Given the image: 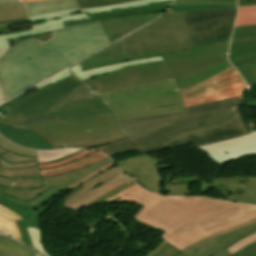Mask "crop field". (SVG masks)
<instances>
[{"instance_id":"37","label":"crop field","mask_w":256,"mask_h":256,"mask_svg":"<svg viewBox=\"0 0 256 256\" xmlns=\"http://www.w3.org/2000/svg\"><path fill=\"white\" fill-rule=\"evenodd\" d=\"M0 147L11 151L15 154L29 156V157H37L35 150L25 149L23 147L14 145L10 142H8L4 137L0 135Z\"/></svg>"},{"instance_id":"31","label":"crop field","mask_w":256,"mask_h":256,"mask_svg":"<svg viewBox=\"0 0 256 256\" xmlns=\"http://www.w3.org/2000/svg\"><path fill=\"white\" fill-rule=\"evenodd\" d=\"M123 139H127L125 134L105 137V138H98V139L63 142L60 144L62 145L63 148H68V147L88 148V147H97L99 145H103V144H107V143H111V142H115Z\"/></svg>"},{"instance_id":"35","label":"crop field","mask_w":256,"mask_h":256,"mask_svg":"<svg viewBox=\"0 0 256 256\" xmlns=\"http://www.w3.org/2000/svg\"><path fill=\"white\" fill-rule=\"evenodd\" d=\"M256 210V206H250L240 212H237L231 216H228L226 218H223V219H219V220H216V221H213V222H210V223H207V224H204V225H200V227L202 228L203 231L205 230H208V229H211V228H214V227H217V226H220V225H223V224H226V223H229V222H232L234 220H237L253 211Z\"/></svg>"},{"instance_id":"29","label":"crop field","mask_w":256,"mask_h":256,"mask_svg":"<svg viewBox=\"0 0 256 256\" xmlns=\"http://www.w3.org/2000/svg\"><path fill=\"white\" fill-rule=\"evenodd\" d=\"M22 219L17 214L11 212L8 208L0 205V232L21 240L18 229L14 223Z\"/></svg>"},{"instance_id":"7","label":"crop field","mask_w":256,"mask_h":256,"mask_svg":"<svg viewBox=\"0 0 256 256\" xmlns=\"http://www.w3.org/2000/svg\"><path fill=\"white\" fill-rule=\"evenodd\" d=\"M246 84L233 67L187 89L179 90L185 108L240 96Z\"/></svg>"},{"instance_id":"3","label":"crop field","mask_w":256,"mask_h":256,"mask_svg":"<svg viewBox=\"0 0 256 256\" xmlns=\"http://www.w3.org/2000/svg\"><path fill=\"white\" fill-rule=\"evenodd\" d=\"M105 201H132L143 205L132 218L164 231L160 237L180 250L210 234L256 217L255 211L242 219L203 232L198 225L226 217L247 206L206 197L162 196L147 192L136 184Z\"/></svg>"},{"instance_id":"45","label":"crop field","mask_w":256,"mask_h":256,"mask_svg":"<svg viewBox=\"0 0 256 256\" xmlns=\"http://www.w3.org/2000/svg\"><path fill=\"white\" fill-rule=\"evenodd\" d=\"M133 184H134V182H132V181L130 180V181L126 182L125 184L121 185L120 187L116 188L115 190H113V191L107 193L106 195H104V196H102V197L96 199V200L93 201L92 203L88 204L86 207L89 208V207H91V206H93V205H95V204H97V203L103 201L104 199H106V198H108V197H110V196H112V195H114V194H116V193L122 191L123 189H125V188H127V187H129V186H131V185H133Z\"/></svg>"},{"instance_id":"42","label":"crop field","mask_w":256,"mask_h":256,"mask_svg":"<svg viewBox=\"0 0 256 256\" xmlns=\"http://www.w3.org/2000/svg\"><path fill=\"white\" fill-rule=\"evenodd\" d=\"M254 241H256V233L251 234V235L245 237L243 240H240V241L234 243L233 245L228 247L226 250L233 254L236 251H238L239 249H241L242 247H244Z\"/></svg>"},{"instance_id":"2","label":"crop field","mask_w":256,"mask_h":256,"mask_svg":"<svg viewBox=\"0 0 256 256\" xmlns=\"http://www.w3.org/2000/svg\"><path fill=\"white\" fill-rule=\"evenodd\" d=\"M107 44L99 22L54 30L44 42L27 39L17 43L0 59L5 100Z\"/></svg>"},{"instance_id":"55","label":"crop field","mask_w":256,"mask_h":256,"mask_svg":"<svg viewBox=\"0 0 256 256\" xmlns=\"http://www.w3.org/2000/svg\"><path fill=\"white\" fill-rule=\"evenodd\" d=\"M238 1H255V0H238Z\"/></svg>"},{"instance_id":"41","label":"crop field","mask_w":256,"mask_h":256,"mask_svg":"<svg viewBox=\"0 0 256 256\" xmlns=\"http://www.w3.org/2000/svg\"><path fill=\"white\" fill-rule=\"evenodd\" d=\"M58 119H60V118H59L58 114H56V115H52V116L33 119V120H30V121L18 124L16 126H13L12 128L23 129V128H26V127H29V126H32V125H35V124H39V123H43V122H47V121H52V120H58Z\"/></svg>"},{"instance_id":"51","label":"crop field","mask_w":256,"mask_h":256,"mask_svg":"<svg viewBox=\"0 0 256 256\" xmlns=\"http://www.w3.org/2000/svg\"><path fill=\"white\" fill-rule=\"evenodd\" d=\"M167 242L162 241V243L156 247L154 250H152L150 253H148L146 256H151L152 254H154L158 249H160L164 244H166Z\"/></svg>"},{"instance_id":"9","label":"crop field","mask_w":256,"mask_h":256,"mask_svg":"<svg viewBox=\"0 0 256 256\" xmlns=\"http://www.w3.org/2000/svg\"><path fill=\"white\" fill-rule=\"evenodd\" d=\"M167 78L171 75L164 62H160L128 67L83 83L100 93Z\"/></svg>"},{"instance_id":"6","label":"crop field","mask_w":256,"mask_h":256,"mask_svg":"<svg viewBox=\"0 0 256 256\" xmlns=\"http://www.w3.org/2000/svg\"><path fill=\"white\" fill-rule=\"evenodd\" d=\"M24 130L43 138L53 149L62 148L58 142L98 138L122 134L111 116L62 124L60 120L35 125Z\"/></svg>"},{"instance_id":"44","label":"crop field","mask_w":256,"mask_h":256,"mask_svg":"<svg viewBox=\"0 0 256 256\" xmlns=\"http://www.w3.org/2000/svg\"><path fill=\"white\" fill-rule=\"evenodd\" d=\"M235 67L237 68L239 73L242 75V77L246 81L247 85L256 84V80L253 77V75L251 74V72H250L249 68L247 67L246 63L242 64V65H239V66H235Z\"/></svg>"},{"instance_id":"46","label":"crop field","mask_w":256,"mask_h":256,"mask_svg":"<svg viewBox=\"0 0 256 256\" xmlns=\"http://www.w3.org/2000/svg\"><path fill=\"white\" fill-rule=\"evenodd\" d=\"M2 157L5 161L12 162V163L37 160V158H29V157L19 156V155H15L11 152H7V153L3 154Z\"/></svg>"},{"instance_id":"40","label":"crop field","mask_w":256,"mask_h":256,"mask_svg":"<svg viewBox=\"0 0 256 256\" xmlns=\"http://www.w3.org/2000/svg\"><path fill=\"white\" fill-rule=\"evenodd\" d=\"M27 229H28V233L31 238L34 249L38 250L45 256H50L45 252V250L43 249L40 243L39 229H32V228H27Z\"/></svg>"},{"instance_id":"23","label":"crop field","mask_w":256,"mask_h":256,"mask_svg":"<svg viewBox=\"0 0 256 256\" xmlns=\"http://www.w3.org/2000/svg\"><path fill=\"white\" fill-rule=\"evenodd\" d=\"M169 4L170 3L153 4V5H147V6H142V7L127 8V9H123V10L104 13V14L95 16L94 18L88 19V20L68 21V22H63V23L65 26H68V25H76V24L94 22V21H98V20L102 21V20H108V19H115V18H120V17H124V16L135 15V14H141V13L164 11V9Z\"/></svg>"},{"instance_id":"54","label":"crop field","mask_w":256,"mask_h":256,"mask_svg":"<svg viewBox=\"0 0 256 256\" xmlns=\"http://www.w3.org/2000/svg\"><path fill=\"white\" fill-rule=\"evenodd\" d=\"M217 1H236V0H217Z\"/></svg>"},{"instance_id":"17","label":"crop field","mask_w":256,"mask_h":256,"mask_svg":"<svg viewBox=\"0 0 256 256\" xmlns=\"http://www.w3.org/2000/svg\"><path fill=\"white\" fill-rule=\"evenodd\" d=\"M111 161H109V162H111ZM109 162H107V163H109ZM107 163H105V164H107ZM105 164H103V165H105ZM103 165H101V166H103ZM101 166H98V167L92 169L88 173L76 178L74 181L70 182L69 184H67L65 186H53V187L49 188L48 190H46L44 193H42L40 196H38L36 199L30 200L28 202H24V201H20V200H16V199H12V198L3 196L2 189L0 187V204L8 207L10 210L17 213L22 218H25L29 214H31L35 210H37L39 207L44 205L50 198L54 197L55 195L60 193L62 190L67 188L72 183H74L77 180L81 179L82 177L88 175L89 173L93 172L94 170L100 168Z\"/></svg>"},{"instance_id":"39","label":"crop field","mask_w":256,"mask_h":256,"mask_svg":"<svg viewBox=\"0 0 256 256\" xmlns=\"http://www.w3.org/2000/svg\"><path fill=\"white\" fill-rule=\"evenodd\" d=\"M94 150H88V149H85L71 157H68L66 159H63V160H59V161H56V162H53V163H50V164H38L39 165V169H48V168H52V167H56V166H60V165H64V164H67V163H70V162H73L91 152H93Z\"/></svg>"},{"instance_id":"14","label":"crop field","mask_w":256,"mask_h":256,"mask_svg":"<svg viewBox=\"0 0 256 256\" xmlns=\"http://www.w3.org/2000/svg\"><path fill=\"white\" fill-rule=\"evenodd\" d=\"M202 194L209 188L229 193L226 199L256 204V176L242 178L207 179L200 182Z\"/></svg>"},{"instance_id":"48","label":"crop field","mask_w":256,"mask_h":256,"mask_svg":"<svg viewBox=\"0 0 256 256\" xmlns=\"http://www.w3.org/2000/svg\"><path fill=\"white\" fill-rule=\"evenodd\" d=\"M113 165H115V164L112 162V163H110V164H108V165H106V166L96 170L95 172H93V173L89 174L88 176L84 177L83 179L77 181L76 183H74L73 185L69 186L68 188L70 190L75 189L76 187H78L79 185H81L82 183H84L85 181H87L88 179H90L91 177L96 175L97 173H99V172H101V171H103V170H105V169H107V168H109V167H111Z\"/></svg>"},{"instance_id":"4","label":"crop field","mask_w":256,"mask_h":256,"mask_svg":"<svg viewBox=\"0 0 256 256\" xmlns=\"http://www.w3.org/2000/svg\"><path fill=\"white\" fill-rule=\"evenodd\" d=\"M123 131L129 139L95 149L108 156L134 149L142 154L191 143L196 147L252 132H248L237 108Z\"/></svg>"},{"instance_id":"24","label":"crop field","mask_w":256,"mask_h":256,"mask_svg":"<svg viewBox=\"0 0 256 256\" xmlns=\"http://www.w3.org/2000/svg\"><path fill=\"white\" fill-rule=\"evenodd\" d=\"M27 17L20 1L0 3V33L8 32L6 24L24 22Z\"/></svg>"},{"instance_id":"36","label":"crop field","mask_w":256,"mask_h":256,"mask_svg":"<svg viewBox=\"0 0 256 256\" xmlns=\"http://www.w3.org/2000/svg\"><path fill=\"white\" fill-rule=\"evenodd\" d=\"M228 7H236V5L230 4H192V5H180L173 6L170 8L172 12H187V11H198L204 9H217V8H228Z\"/></svg>"},{"instance_id":"11","label":"crop field","mask_w":256,"mask_h":256,"mask_svg":"<svg viewBox=\"0 0 256 256\" xmlns=\"http://www.w3.org/2000/svg\"><path fill=\"white\" fill-rule=\"evenodd\" d=\"M122 172L140 186L156 193L167 191L171 195H188L189 184H164L154 165L160 160L148 155H138L115 162Z\"/></svg>"},{"instance_id":"34","label":"crop field","mask_w":256,"mask_h":256,"mask_svg":"<svg viewBox=\"0 0 256 256\" xmlns=\"http://www.w3.org/2000/svg\"><path fill=\"white\" fill-rule=\"evenodd\" d=\"M256 24V6L238 7L235 26Z\"/></svg>"},{"instance_id":"33","label":"crop field","mask_w":256,"mask_h":256,"mask_svg":"<svg viewBox=\"0 0 256 256\" xmlns=\"http://www.w3.org/2000/svg\"><path fill=\"white\" fill-rule=\"evenodd\" d=\"M82 149H67L58 151H37L38 163H49L71 156Z\"/></svg>"},{"instance_id":"43","label":"crop field","mask_w":256,"mask_h":256,"mask_svg":"<svg viewBox=\"0 0 256 256\" xmlns=\"http://www.w3.org/2000/svg\"><path fill=\"white\" fill-rule=\"evenodd\" d=\"M153 256H185V255L167 243L160 250H158Z\"/></svg>"},{"instance_id":"26","label":"crop field","mask_w":256,"mask_h":256,"mask_svg":"<svg viewBox=\"0 0 256 256\" xmlns=\"http://www.w3.org/2000/svg\"><path fill=\"white\" fill-rule=\"evenodd\" d=\"M0 133H2L9 140L17 144L23 145L25 147L38 148V149H52L40 137L27 131L0 127Z\"/></svg>"},{"instance_id":"16","label":"crop field","mask_w":256,"mask_h":256,"mask_svg":"<svg viewBox=\"0 0 256 256\" xmlns=\"http://www.w3.org/2000/svg\"><path fill=\"white\" fill-rule=\"evenodd\" d=\"M108 160H110L109 157H107L91 166H88V167H85V168H82V169H79L76 171H72V172H68V173H64V174L52 176V177H43L42 180H43L44 186L39 187L37 189L15 190V189L2 187L3 193L5 196L28 201L30 199L36 198L38 195H40L42 192H44L49 187H51L53 185H65V184L69 183L70 181L74 180L76 177L88 172L89 170H91L92 168H94L98 165H101V164L107 162Z\"/></svg>"},{"instance_id":"49","label":"crop field","mask_w":256,"mask_h":256,"mask_svg":"<svg viewBox=\"0 0 256 256\" xmlns=\"http://www.w3.org/2000/svg\"><path fill=\"white\" fill-rule=\"evenodd\" d=\"M192 3H231V4H236V2H217V1H210V0H178L175 3V5L192 4Z\"/></svg>"},{"instance_id":"56","label":"crop field","mask_w":256,"mask_h":256,"mask_svg":"<svg viewBox=\"0 0 256 256\" xmlns=\"http://www.w3.org/2000/svg\"><path fill=\"white\" fill-rule=\"evenodd\" d=\"M0 1H7V0H0Z\"/></svg>"},{"instance_id":"13","label":"crop field","mask_w":256,"mask_h":256,"mask_svg":"<svg viewBox=\"0 0 256 256\" xmlns=\"http://www.w3.org/2000/svg\"><path fill=\"white\" fill-rule=\"evenodd\" d=\"M196 148L207 153L219 165L244 156H256V131L241 137L207 144Z\"/></svg>"},{"instance_id":"27","label":"crop field","mask_w":256,"mask_h":256,"mask_svg":"<svg viewBox=\"0 0 256 256\" xmlns=\"http://www.w3.org/2000/svg\"><path fill=\"white\" fill-rule=\"evenodd\" d=\"M130 180L125 175H120L115 179L109 181L108 183L104 184L103 186L99 187L98 189L94 190L93 192L89 193L88 195L81 198L77 203L72 205L69 209L77 211L83 207H85L88 203L95 200L96 198L104 195L105 193L115 189L116 187L120 186L121 184L125 183L126 181Z\"/></svg>"},{"instance_id":"18","label":"crop field","mask_w":256,"mask_h":256,"mask_svg":"<svg viewBox=\"0 0 256 256\" xmlns=\"http://www.w3.org/2000/svg\"><path fill=\"white\" fill-rule=\"evenodd\" d=\"M162 12L141 14L130 17H124L115 20L100 22L109 41L113 42L118 38L126 35L134 29L154 20Z\"/></svg>"},{"instance_id":"52","label":"crop field","mask_w":256,"mask_h":256,"mask_svg":"<svg viewBox=\"0 0 256 256\" xmlns=\"http://www.w3.org/2000/svg\"><path fill=\"white\" fill-rule=\"evenodd\" d=\"M256 5V2H238V6Z\"/></svg>"},{"instance_id":"5","label":"crop field","mask_w":256,"mask_h":256,"mask_svg":"<svg viewBox=\"0 0 256 256\" xmlns=\"http://www.w3.org/2000/svg\"><path fill=\"white\" fill-rule=\"evenodd\" d=\"M38 91L0 109V126L58 113L62 122L110 115L96 95L68 70L35 87Z\"/></svg>"},{"instance_id":"15","label":"crop field","mask_w":256,"mask_h":256,"mask_svg":"<svg viewBox=\"0 0 256 256\" xmlns=\"http://www.w3.org/2000/svg\"><path fill=\"white\" fill-rule=\"evenodd\" d=\"M228 57L233 65L256 59V25L234 28Z\"/></svg>"},{"instance_id":"12","label":"crop field","mask_w":256,"mask_h":256,"mask_svg":"<svg viewBox=\"0 0 256 256\" xmlns=\"http://www.w3.org/2000/svg\"><path fill=\"white\" fill-rule=\"evenodd\" d=\"M256 231V219L234 228L210 235L182 250L188 256H230L224 249Z\"/></svg>"},{"instance_id":"47","label":"crop field","mask_w":256,"mask_h":256,"mask_svg":"<svg viewBox=\"0 0 256 256\" xmlns=\"http://www.w3.org/2000/svg\"><path fill=\"white\" fill-rule=\"evenodd\" d=\"M232 256H256V242L242 248Z\"/></svg>"},{"instance_id":"32","label":"crop field","mask_w":256,"mask_h":256,"mask_svg":"<svg viewBox=\"0 0 256 256\" xmlns=\"http://www.w3.org/2000/svg\"><path fill=\"white\" fill-rule=\"evenodd\" d=\"M46 208L41 207L40 209H38L36 212H34L33 214L29 215L27 218H25L24 220H19L16 222L19 232H20V236L22 238V241L27 243L28 245H30L32 247L30 238L27 234V230L26 227H32V228H39V223H38V217L39 215L45 210Z\"/></svg>"},{"instance_id":"10","label":"crop field","mask_w":256,"mask_h":256,"mask_svg":"<svg viewBox=\"0 0 256 256\" xmlns=\"http://www.w3.org/2000/svg\"><path fill=\"white\" fill-rule=\"evenodd\" d=\"M236 8L183 13L190 44L230 37Z\"/></svg>"},{"instance_id":"19","label":"crop field","mask_w":256,"mask_h":256,"mask_svg":"<svg viewBox=\"0 0 256 256\" xmlns=\"http://www.w3.org/2000/svg\"><path fill=\"white\" fill-rule=\"evenodd\" d=\"M241 103H242V96L219 101V102H214V103H210V104H205V105H201V106L187 108L186 109L187 114H176V115H169V116H163V117L134 120V121H129V122L118 123V125H119L120 129L129 128V127L145 125V124H149V123H153V122L165 121V120L184 117V116H188V115L239 106V105H241Z\"/></svg>"},{"instance_id":"38","label":"crop field","mask_w":256,"mask_h":256,"mask_svg":"<svg viewBox=\"0 0 256 256\" xmlns=\"http://www.w3.org/2000/svg\"><path fill=\"white\" fill-rule=\"evenodd\" d=\"M79 9L93 8L106 6L111 4H117L122 2L134 1V0H77Z\"/></svg>"},{"instance_id":"21","label":"crop field","mask_w":256,"mask_h":256,"mask_svg":"<svg viewBox=\"0 0 256 256\" xmlns=\"http://www.w3.org/2000/svg\"><path fill=\"white\" fill-rule=\"evenodd\" d=\"M122 174L118 168L115 166L97 174L75 190H73L74 194L69 196L63 203V207L69 208L72 204L77 202L82 196L106 183L107 181L113 179L114 177ZM108 183V182H107ZM103 186V185H102ZM98 189V188H97ZM93 192V191H92ZM88 195V194H87ZM83 198V197H82Z\"/></svg>"},{"instance_id":"25","label":"crop field","mask_w":256,"mask_h":256,"mask_svg":"<svg viewBox=\"0 0 256 256\" xmlns=\"http://www.w3.org/2000/svg\"><path fill=\"white\" fill-rule=\"evenodd\" d=\"M28 16L78 8L76 0H48L24 3Z\"/></svg>"},{"instance_id":"8","label":"crop field","mask_w":256,"mask_h":256,"mask_svg":"<svg viewBox=\"0 0 256 256\" xmlns=\"http://www.w3.org/2000/svg\"><path fill=\"white\" fill-rule=\"evenodd\" d=\"M172 1L174 0H141V1L111 5V6L100 7V8L85 9V10L75 9V10H68V11L31 16V17H28L29 21H35V20L40 21L45 19L46 22L41 24L30 25L31 30H28V31L0 35V58L9 50L10 45L7 40L62 28L64 27L62 21L87 19V18L93 17V16L87 17L85 12H89V14L104 13V12H109V11L118 10V9L127 8V7L141 6V5H147V4H153V3H166V2H172ZM3 101H4V98H3L2 89L0 86V103H2Z\"/></svg>"},{"instance_id":"22","label":"crop field","mask_w":256,"mask_h":256,"mask_svg":"<svg viewBox=\"0 0 256 256\" xmlns=\"http://www.w3.org/2000/svg\"><path fill=\"white\" fill-rule=\"evenodd\" d=\"M163 61L161 56L158 57H152V58H146V59H140V60H134V61H128L113 65H107V66H101V67H94L90 69L82 70L79 65H75L71 68H69L72 73L78 77L81 81L87 80L93 77H97L103 74L110 73L115 70H119L128 66L132 65H138V64H145V63H152V62H160Z\"/></svg>"},{"instance_id":"30","label":"crop field","mask_w":256,"mask_h":256,"mask_svg":"<svg viewBox=\"0 0 256 256\" xmlns=\"http://www.w3.org/2000/svg\"><path fill=\"white\" fill-rule=\"evenodd\" d=\"M0 256H38L20 243L0 236Z\"/></svg>"},{"instance_id":"20","label":"crop field","mask_w":256,"mask_h":256,"mask_svg":"<svg viewBox=\"0 0 256 256\" xmlns=\"http://www.w3.org/2000/svg\"><path fill=\"white\" fill-rule=\"evenodd\" d=\"M129 56L126 50L125 39L113 44L112 46L104 49L96 55L88 58L87 60L79 63L82 69L94 66L113 64L123 61H128Z\"/></svg>"},{"instance_id":"1","label":"crop field","mask_w":256,"mask_h":256,"mask_svg":"<svg viewBox=\"0 0 256 256\" xmlns=\"http://www.w3.org/2000/svg\"><path fill=\"white\" fill-rule=\"evenodd\" d=\"M130 59L161 55L173 78L96 94L116 122L186 113L178 89L230 67V38L189 45L182 13L170 11L125 37Z\"/></svg>"},{"instance_id":"53","label":"crop field","mask_w":256,"mask_h":256,"mask_svg":"<svg viewBox=\"0 0 256 256\" xmlns=\"http://www.w3.org/2000/svg\"><path fill=\"white\" fill-rule=\"evenodd\" d=\"M23 2H28V1H38V0H22Z\"/></svg>"},{"instance_id":"50","label":"crop field","mask_w":256,"mask_h":256,"mask_svg":"<svg viewBox=\"0 0 256 256\" xmlns=\"http://www.w3.org/2000/svg\"><path fill=\"white\" fill-rule=\"evenodd\" d=\"M247 65L250 68V70H251L252 74L254 75V77L256 78V60L252 61V62H248Z\"/></svg>"},{"instance_id":"28","label":"crop field","mask_w":256,"mask_h":256,"mask_svg":"<svg viewBox=\"0 0 256 256\" xmlns=\"http://www.w3.org/2000/svg\"><path fill=\"white\" fill-rule=\"evenodd\" d=\"M104 157H106V156L95 151V152H93V153L73 162V163H70V164H67V165H64L61 167H57V168H52V169H48V170H39V171H40L41 176L57 175V174H61L64 172L76 170L78 168L91 165Z\"/></svg>"}]
</instances>
